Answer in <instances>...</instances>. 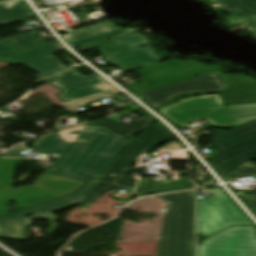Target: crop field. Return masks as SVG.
Wrapping results in <instances>:
<instances>
[{"mask_svg": "<svg viewBox=\"0 0 256 256\" xmlns=\"http://www.w3.org/2000/svg\"><path fill=\"white\" fill-rule=\"evenodd\" d=\"M220 95L226 106L256 103V86L233 87Z\"/></svg>", "mask_w": 256, "mask_h": 256, "instance_id": "crop-field-19", "label": "crop field"}, {"mask_svg": "<svg viewBox=\"0 0 256 256\" xmlns=\"http://www.w3.org/2000/svg\"><path fill=\"white\" fill-rule=\"evenodd\" d=\"M129 143L100 126L82 124L44 135L32 149L60 154L46 174L85 182L94 173L103 176Z\"/></svg>", "mask_w": 256, "mask_h": 256, "instance_id": "crop-field-1", "label": "crop field"}, {"mask_svg": "<svg viewBox=\"0 0 256 256\" xmlns=\"http://www.w3.org/2000/svg\"><path fill=\"white\" fill-rule=\"evenodd\" d=\"M254 173H256V165L249 162L238 172H236L235 174L229 175L228 177H225V179L230 181V180L246 177V176L254 174ZM254 178H256V176H254ZM238 195L247 202V204L252 208V210L256 214V198H250L241 193H239Z\"/></svg>", "mask_w": 256, "mask_h": 256, "instance_id": "crop-field-21", "label": "crop field"}, {"mask_svg": "<svg viewBox=\"0 0 256 256\" xmlns=\"http://www.w3.org/2000/svg\"><path fill=\"white\" fill-rule=\"evenodd\" d=\"M214 70L218 69L214 66L205 67L198 62H164L134 71V73L143 79L145 83L127 86L125 88L134 93L188 77L208 73Z\"/></svg>", "mask_w": 256, "mask_h": 256, "instance_id": "crop-field-10", "label": "crop field"}, {"mask_svg": "<svg viewBox=\"0 0 256 256\" xmlns=\"http://www.w3.org/2000/svg\"><path fill=\"white\" fill-rule=\"evenodd\" d=\"M137 112L145 116L144 119L134 123L133 125L127 127L109 117L98 119L95 121H92L93 123L100 125L126 139L135 140L132 138L135 134L141 133L145 131L149 126H151L154 123L153 118L147 114L145 111H143L138 106L133 107Z\"/></svg>", "mask_w": 256, "mask_h": 256, "instance_id": "crop-field-15", "label": "crop field"}, {"mask_svg": "<svg viewBox=\"0 0 256 256\" xmlns=\"http://www.w3.org/2000/svg\"><path fill=\"white\" fill-rule=\"evenodd\" d=\"M173 136L161 123L153 127L148 133L136 140L125 152L124 156L116 163L107 176L93 188L88 196L80 204L79 209L86 210L100 196L109 189L118 186L128 191H133L135 182L126 176L131 171L132 164L143 157L148 151L156 147L162 141ZM78 208V207H77Z\"/></svg>", "mask_w": 256, "mask_h": 256, "instance_id": "crop-field-5", "label": "crop field"}, {"mask_svg": "<svg viewBox=\"0 0 256 256\" xmlns=\"http://www.w3.org/2000/svg\"><path fill=\"white\" fill-rule=\"evenodd\" d=\"M163 60L150 47H146L128 51L108 62L117 68L134 71L160 63Z\"/></svg>", "mask_w": 256, "mask_h": 256, "instance_id": "crop-field-13", "label": "crop field"}, {"mask_svg": "<svg viewBox=\"0 0 256 256\" xmlns=\"http://www.w3.org/2000/svg\"><path fill=\"white\" fill-rule=\"evenodd\" d=\"M206 96L213 97L183 99L161 109L160 113L177 127L195 119H206L217 128H230L256 119V104L225 107L219 94Z\"/></svg>", "mask_w": 256, "mask_h": 256, "instance_id": "crop-field-2", "label": "crop field"}, {"mask_svg": "<svg viewBox=\"0 0 256 256\" xmlns=\"http://www.w3.org/2000/svg\"><path fill=\"white\" fill-rule=\"evenodd\" d=\"M214 195L198 199V234L209 237L232 225H253L220 187L208 189Z\"/></svg>", "mask_w": 256, "mask_h": 256, "instance_id": "crop-field-8", "label": "crop field"}, {"mask_svg": "<svg viewBox=\"0 0 256 256\" xmlns=\"http://www.w3.org/2000/svg\"><path fill=\"white\" fill-rule=\"evenodd\" d=\"M129 32H132V30L123 29V30H120V31L103 34V35H100L98 37H94V38H90V39H86V40L70 43V45L72 47H74V46H78V45H82V44L98 41V40H101V39H105V38H109V37H113V36L129 33Z\"/></svg>", "mask_w": 256, "mask_h": 256, "instance_id": "crop-field-23", "label": "crop field"}, {"mask_svg": "<svg viewBox=\"0 0 256 256\" xmlns=\"http://www.w3.org/2000/svg\"><path fill=\"white\" fill-rule=\"evenodd\" d=\"M23 66L39 73L34 78L40 80L44 77L52 75L56 72L68 69L64 64H62L57 58L53 55L41 58L29 63L22 64Z\"/></svg>", "mask_w": 256, "mask_h": 256, "instance_id": "crop-field-18", "label": "crop field"}, {"mask_svg": "<svg viewBox=\"0 0 256 256\" xmlns=\"http://www.w3.org/2000/svg\"><path fill=\"white\" fill-rule=\"evenodd\" d=\"M115 26L116 25H114L113 23L107 21V22H103V23L96 24V25L89 26V27L91 29H93L94 31H96L97 33L102 34V33H106V32L114 30Z\"/></svg>", "mask_w": 256, "mask_h": 256, "instance_id": "crop-field-24", "label": "crop field"}, {"mask_svg": "<svg viewBox=\"0 0 256 256\" xmlns=\"http://www.w3.org/2000/svg\"><path fill=\"white\" fill-rule=\"evenodd\" d=\"M253 35H255V36H256V32H254V33H253Z\"/></svg>", "mask_w": 256, "mask_h": 256, "instance_id": "crop-field-28", "label": "crop field"}, {"mask_svg": "<svg viewBox=\"0 0 256 256\" xmlns=\"http://www.w3.org/2000/svg\"><path fill=\"white\" fill-rule=\"evenodd\" d=\"M172 199L157 256H193L194 191L163 195Z\"/></svg>", "mask_w": 256, "mask_h": 256, "instance_id": "crop-field-4", "label": "crop field"}, {"mask_svg": "<svg viewBox=\"0 0 256 256\" xmlns=\"http://www.w3.org/2000/svg\"><path fill=\"white\" fill-rule=\"evenodd\" d=\"M2 1H6V0H0V2H2Z\"/></svg>", "mask_w": 256, "mask_h": 256, "instance_id": "crop-field-29", "label": "crop field"}, {"mask_svg": "<svg viewBox=\"0 0 256 256\" xmlns=\"http://www.w3.org/2000/svg\"><path fill=\"white\" fill-rule=\"evenodd\" d=\"M94 36H98V35L94 33L92 30H90L89 28L79 29L70 34L63 35L64 39L68 43L94 37Z\"/></svg>", "mask_w": 256, "mask_h": 256, "instance_id": "crop-field-22", "label": "crop field"}, {"mask_svg": "<svg viewBox=\"0 0 256 256\" xmlns=\"http://www.w3.org/2000/svg\"><path fill=\"white\" fill-rule=\"evenodd\" d=\"M242 25L245 26L248 31H251V32L256 31V20L247 22V23L242 24Z\"/></svg>", "mask_w": 256, "mask_h": 256, "instance_id": "crop-field-27", "label": "crop field"}, {"mask_svg": "<svg viewBox=\"0 0 256 256\" xmlns=\"http://www.w3.org/2000/svg\"><path fill=\"white\" fill-rule=\"evenodd\" d=\"M219 153L209 164L219 175L229 173L256 156V120L231 131L218 130L212 136Z\"/></svg>", "mask_w": 256, "mask_h": 256, "instance_id": "crop-field-7", "label": "crop field"}, {"mask_svg": "<svg viewBox=\"0 0 256 256\" xmlns=\"http://www.w3.org/2000/svg\"><path fill=\"white\" fill-rule=\"evenodd\" d=\"M23 150L22 146L16 147L0 156L4 157H21V151Z\"/></svg>", "mask_w": 256, "mask_h": 256, "instance_id": "crop-field-25", "label": "crop field"}, {"mask_svg": "<svg viewBox=\"0 0 256 256\" xmlns=\"http://www.w3.org/2000/svg\"><path fill=\"white\" fill-rule=\"evenodd\" d=\"M31 16H33V13L23 0L0 5V25ZM53 53H55V51L52 50L50 43L22 52L0 40V60L14 64H22Z\"/></svg>", "mask_w": 256, "mask_h": 256, "instance_id": "crop-field-11", "label": "crop field"}, {"mask_svg": "<svg viewBox=\"0 0 256 256\" xmlns=\"http://www.w3.org/2000/svg\"><path fill=\"white\" fill-rule=\"evenodd\" d=\"M215 4L219 3L223 10L231 16L228 23L236 25L256 19V0H209Z\"/></svg>", "mask_w": 256, "mask_h": 256, "instance_id": "crop-field-14", "label": "crop field"}, {"mask_svg": "<svg viewBox=\"0 0 256 256\" xmlns=\"http://www.w3.org/2000/svg\"><path fill=\"white\" fill-rule=\"evenodd\" d=\"M115 44L99 48L98 52L110 59L128 49L148 45V39L145 35L135 33L115 39H111Z\"/></svg>", "mask_w": 256, "mask_h": 256, "instance_id": "crop-field-17", "label": "crop field"}, {"mask_svg": "<svg viewBox=\"0 0 256 256\" xmlns=\"http://www.w3.org/2000/svg\"><path fill=\"white\" fill-rule=\"evenodd\" d=\"M169 177L171 181L161 183H148L147 179L140 180L136 195L143 196L153 193L193 188V183L188 178L179 180L177 175Z\"/></svg>", "mask_w": 256, "mask_h": 256, "instance_id": "crop-field-16", "label": "crop field"}, {"mask_svg": "<svg viewBox=\"0 0 256 256\" xmlns=\"http://www.w3.org/2000/svg\"><path fill=\"white\" fill-rule=\"evenodd\" d=\"M76 71H78V70L72 69V70H70V71L64 72V73H62V74L56 75V76H54V77L48 78V79L43 80V81H45V82H51V81H53V80L59 79V78H61V77H64V76L69 75V74H71V73H74V72H76ZM40 82H42V81H40ZM38 83H39V82H38Z\"/></svg>", "mask_w": 256, "mask_h": 256, "instance_id": "crop-field-26", "label": "crop field"}, {"mask_svg": "<svg viewBox=\"0 0 256 256\" xmlns=\"http://www.w3.org/2000/svg\"><path fill=\"white\" fill-rule=\"evenodd\" d=\"M105 82L104 79L96 74L84 76L78 72L51 82L64 92L59 95L64 102L84 96L101 93L99 89L93 85Z\"/></svg>", "mask_w": 256, "mask_h": 256, "instance_id": "crop-field-12", "label": "crop field"}, {"mask_svg": "<svg viewBox=\"0 0 256 256\" xmlns=\"http://www.w3.org/2000/svg\"><path fill=\"white\" fill-rule=\"evenodd\" d=\"M101 178V176L93 175L72 194L64 195L1 216L0 238L27 242L29 238L28 230L33 225L32 220L39 219H46L48 221L50 224L49 235H54L58 227L55 222L57 219L52 212L80 204ZM31 214L34 216L24 218Z\"/></svg>", "mask_w": 256, "mask_h": 256, "instance_id": "crop-field-3", "label": "crop field"}, {"mask_svg": "<svg viewBox=\"0 0 256 256\" xmlns=\"http://www.w3.org/2000/svg\"><path fill=\"white\" fill-rule=\"evenodd\" d=\"M256 84L254 79L242 75H223L220 71L136 93L153 109L170 103L183 95L222 92L230 86Z\"/></svg>", "mask_w": 256, "mask_h": 256, "instance_id": "crop-field-6", "label": "crop field"}, {"mask_svg": "<svg viewBox=\"0 0 256 256\" xmlns=\"http://www.w3.org/2000/svg\"><path fill=\"white\" fill-rule=\"evenodd\" d=\"M198 256H256L255 227H232L203 241Z\"/></svg>", "mask_w": 256, "mask_h": 256, "instance_id": "crop-field-9", "label": "crop field"}, {"mask_svg": "<svg viewBox=\"0 0 256 256\" xmlns=\"http://www.w3.org/2000/svg\"><path fill=\"white\" fill-rule=\"evenodd\" d=\"M5 41L25 50L38 45H42L41 40L34 31L21 34L15 37L4 39Z\"/></svg>", "mask_w": 256, "mask_h": 256, "instance_id": "crop-field-20", "label": "crop field"}]
</instances>
